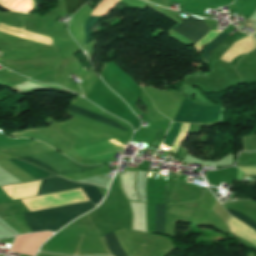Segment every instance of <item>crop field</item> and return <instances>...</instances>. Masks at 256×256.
I'll use <instances>...</instances> for the list:
<instances>
[{"label":"crop field","instance_id":"crop-field-1","mask_svg":"<svg viewBox=\"0 0 256 256\" xmlns=\"http://www.w3.org/2000/svg\"><path fill=\"white\" fill-rule=\"evenodd\" d=\"M94 207L95 205L92 203L86 202L29 212L23 215L26 224L33 232L43 230L55 232L69 221L93 209Z\"/></svg>","mask_w":256,"mask_h":256},{"label":"crop field","instance_id":"crop-field-2","mask_svg":"<svg viewBox=\"0 0 256 256\" xmlns=\"http://www.w3.org/2000/svg\"><path fill=\"white\" fill-rule=\"evenodd\" d=\"M52 233L41 232L16 237L11 251L34 256L38 246L46 240Z\"/></svg>","mask_w":256,"mask_h":256},{"label":"crop field","instance_id":"crop-field-3","mask_svg":"<svg viewBox=\"0 0 256 256\" xmlns=\"http://www.w3.org/2000/svg\"><path fill=\"white\" fill-rule=\"evenodd\" d=\"M172 30L180 33L195 43L199 41L204 35H206L207 32L211 29H209L202 20L189 16L186 20H184L181 24Z\"/></svg>","mask_w":256,"mask_h":256},{"label":"crop field","instance_id":"crop-field-4","mask_svg":"<svg viewBox=\"0 0 256 256\" xmlns=\"http://www.w3.org/2000/svg\"><path fill=\"white\" fill-rule=\"evenodd\" d=\"M88 186H92V185L71 182L61 177H55L51 179L42 180L36 196L56 193L61 191H67L72 189H78V188H83Z\"/></svg>","mask_w":256,"mask_h":256},{"label":"crop field","instance_id":"crop-field-5","mask_svg":"<svg viewBox=\"0 0 256 256\" xmlns=\"http://www.w3.org/2000/svg\"><path fill=\"white\" fill-rule=\"evenodd\" d=\"M68 110L71 111V112H74V113H76V114H79V115H81V116H84V117L89 118V119H91V120L97 121V122H99V123H102V124H104V125H107V126H109V127H112V128H114V129H117V130L122 131V132L125 133V130H126V129L123 128L121 125H119L118 123H116V122L113 121V120L100 117V116H98V115H95V114H93V113H90V112H88V111H85V110H83V109H81V108H78V107H76V106H73V105H71V104L69 105Z\"/></svg>","mask_w":256,"mask_h":256},{"label":"crop field","instance_id":"crop-field-6","mask_svg":"<svg viewBox=\"0 0 256 256\" xmlns=\"http://www.w3.org/2000/svg\"><path fill=\"white\" fill-rule=\"evenodd\" d=\"M12 164H14L16 167H18L20 170H22L24 173H26L28 176L33 178L34 180L55 176L52 173H49L47 171H44L40 168H37L35 166H32L28 163L22 162L17 159L9 160Z\"/></svg>","mask_w":256,"mask_h":256},{"label":"crop field","instance_id":"crop-field-7","mask_svg":"<svg viewBox=\"0 0 256 256\" xmlns=\"http://www.w3.org/2000/svg\"><path fill=\"white\" fill-rule=\"evenodd\" d=\"M165 205L156 204L155 233L164 234Z\"/></svg>","mask_w":256,"mask_h":256},{"label":"crop field","instance_id":"crop-field-8","mask_svg":"<svg viewBox=\"0 0 256 256\" xmlns=\"http://www.w3.org/2000/svg\"><path fill=\"white\" fill-rule=\"evenodd\" d=\"M105 241L108 245L109 250L115 255V256H125L122 248L120 247L118 241L116 240L113 232L110 234H107L104 236Z\"/></svg>","mask_w":256,"mask_h":256},{"label":"crop field","instance_id":"crop-field-9","mask_svg":"<svg viewBox=\"0 0 256 256\" xmlns=\"http://www.w3.org/2000/svg\"><path fill=\"white\" fill-rule=\"evenodd\" d=\"M227 37V34L225 33H221L218 37H216L210 44H208L206 46V48L203 51V59H205L206 61H208L209 55L211 53V51L220 43H222ZM204 60V61H205Z\"/></svg>","mask_w":256,"mask_h":256},{"label":"crop field","instance_id":"crop-field-10","mask_svg":"<svg viewBox=\"0 0 256 256\" xmlns=\"http://www.w3.org/2000/svg\"><path fill=\"white\" fill-rule=\"evenodd\" d=\"M181 123H172L171 129L164 139L163 146L170 147L179 133Z\"/></svg>","mask_w":256,"mask_h":256},{"label":"crop field","instance_id":"crop-field-11","mask_svg":"<svg viewBox=\"0 0 256 256\" xmlns=\"http://www.w3.org/2000/svg\"><path fill=\"white\" fill-rule=\"evenodd\" d=\"M83 191L85 192L89 200L95 205L99 203L102 198L101 194L98 192L95 186L83 188Z\"/></svg>","mask_w":256,"mask_h":256},{"label":"crop field","instance_id":"crop-field-12","mask_svg":"<svg viewBox=\"0 0 256 256\" xmlns=\"http://www.w3.org/2000/svg\"><path fill=\"white\" fill-rule=\"evenodd\" d=\"M67 14H74L81 7L85 0H65Z\"/></svg>","mask_w":256,"mask_h":256},{"label":"crop field","instance_id":"crop-field-13","mask_svg":"<svg viewBox=\"0 0 256 256\" xmlns=\"http://www.w3.org/2000/svg\"><path fill=\"white\" fill-rule=\"evenodd\" d=\"M228 212L235 216L236 218H238L239 220L243 221L244 223L248 224L249 226H251L253 229L256 230V223L253 222L251 219H249L248 217L238 213V212H234V211H231V210H228Z\"/></svg>","mask_w":256,"mask_h":256},{"label":"crop field","instance_id":"crop-field-14","mask_svg":"<svg viewBox=\"0 0 256 256\" xmlns=\"http://www.w3.org/2000/svg\"><path fill=\"white\" fill-rule=\"evenodd\" d=\"M19 159H20V160H23V161H25V162H28V163H30V164L36 165V166H38V167H41V168H43V169H46V170H48V171H51V172L56 173L54 170H52L51 168H49L48 166L44 165L43 163H41V162H39V161H37V160L31 159V158H29V157H24V158H19ZM56 174H57V173H56Z\"/></svg>","mask_w":256,"mask_h":256},{"label":"crop field","instance_id":"crop-field-15","mask_svg":"<svg viewBox=\"0 0 256 256\" xmlns=\"http://www.w3.org/2000/svg\"><path fill=\"white\" fill-rule=\"evenodd\" d=\"M252 179L256 180V176H250Z\"/></svg>","mask_w":256,"mask_h":256},{"label":"crop field","instance_id":"crop-field-16","mask_svg":"<svg viewBox=\"0 0 256 256\" xmlns=\"http://www.w3.org/2000/svg\"><path fill=\"white\" fill-rule=\"evenodd\" d=\"M256 53V52H255Z\"/></svg>","mask_w":256,"mask_h":256}]
</instances>
